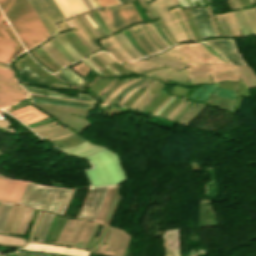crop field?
<instances>
[{
    "label": "crop field",
    "instance_id": "028f5c9d",
    "mask_svg": "<svg viewBox=\"0 0 256 256\" xmlns=\"http://www.w3.org/2000/svg\"><path fill=\"white\" fill-rule=\"evenodd\" d=\"M130 29H131V28H130ZM130 29H129V31L134 35V33L131 31L132 29H131V30H130ZM132 34H131V35H132ZM133 35H132V36H133ZM134 37H135V35H134ZM136 37H137V36H136ZM136 37H135V39L137 40ZM139 41H140V40H139ZM137 42H138V40H137ZM140 43H141V42H140ZM140 43H139V45H140L142 48H144L145 46L141 43V44L144 46V47H143ZM145 48H146V47H145ZM145 48H144V49H145ZM146 49H147V48H146ZM146 49H145V50H146ZM147 50H148V49H147ZM147 50H146V51H147ZM148 51H149V50H148ZM148 51H147V52H148ZM149 52H150V51H149ZM149 52H148V53H149ZM150 53H151V52H150ZM150 53H149V54H150ZM151 54H152V53H151Z\"/></svg>",
    "mask_w": 256,
    "mask_h": 256
},
{
    "label": "crop field",
    "instance_id": "b54c1fbb",
    "mask_svg": "<svg viewBox=\"0 0 256 256\" xmlns=\"http://www.w3.org/2000/svg\"><path fill=\"white\" fill-rule=\"evenodd\" d=\"M2 205H3V203H0V209H1Z\"/></svg>",
    "mask_w": 256,
    "mask_h": 256
},
{
    "label": "crop field",
    "instance_id": "1d83c4d3",
    "mask_svg": "<svg viewBox=\"0 0 256 256\" xmlns=\"http://www.w3.org/2000/svg\"><path fill=\"white\" fill-rule=\"evenodd\" d=\"M24 49H23V47H22V45L18 48V50L10 57V59L7 61V62H11V60L18 54V53H20L21 51H23Z\"/></svg>",
    "mask_w": 256,
    "mask_h": 256
},
{
    "label": "crop field",
    "instance_id": "0bd39190",
    "mask_svg": "<svg viewBox=\"0 0 256 256\" xmlns=\"http://www.w3.org/2000/svg\"><path fill=\"white\" fill-rule=\"evenodd\" d=\"M40 47H41V46H40ZM42 47L48 52V50H47L43 45H42ZM42 47H41V48H42ZM43 48H42V49H43ZM44 49H43V50H44ZM45 50H44V51H45ZM46 51H45V52H46ZM47 52H46V53H47ZM48 53H49V52H48ZM48 53H47V54H48ZM49 54H50V53H49ZM49 54H48V55H49ZM50 55H51V54H50ZM50 55H49V56H50ZM51 56H52V55H51ZM51 56H50V57H51ZM52 57H53V56H52ZM52 57H51V58H52ZM53 58H54V57H53ZM53 58H52V59H53ZM54 59H55V58H54ZM54 59H53V60H54ZM55 60H56V59H55ZM55 60H54V61H55ZM56 61H57V60H56ZM56 61H55V62H56ZM57 62H58V61H57ZM58 63H59V62H58ZM59 64L62 65L61 63H59ZM62 66H63V65H62ZM62 66H61V67H62ZM63 67H64V66H63ZM63 67H62V68H63Z\"/></svg>",
    "mask_w": 256,
    "mask_h": 256
},
{
    "label": "crop field",
    "instance_id": "5866460e",
    "mask_svg": "<svg viewBox=\"0 0 256 256\" xmlns=\"http://www.w3.org/2000/svg\"><path fill=\"white\" fill-rule=\"evenodd\" d=\"M142 27L144 28V30L146 31V33L148 34L149 38L151 39V41L157 46L159 47L161 50H163L159 45H157L154 40L151 38V36L149 35V33L147 32L146 28L144 27V25H142Z\"/></svg>",
    "mask_w": 256,
    "mask_h": 256
},
{
    "label": "crop field",
    "instance_id": "4177f3b9",
    "mask_svg": "<svg viewBox=\"0 0 256 256\" xmlns=\"http://www.w3.org/2000/svg\"><path fill=\"white\" fill-rule=\"evenodd\" d=\"M60 37L64 40V42H65L68 46H70V45L67 43V41L64 39V37H63L62 35H60ZM57 38L59 39V41H60L61 43H63V44L69 49V47H68L59 37H57ZM70 47H71V46H70ZM71 48H72V47H71ZM72 49H73V48H72ZM72 49H71V50H72ZM71 50L69 49V51H70L78 60H80V59L82 58L74 49H73V50L76 52V54L81 57V58H80V57L78 56L80 59L73 53L74 51L72 50V51H73V52H72Z\"/></svg>",
    "mask_w": 256,
    "mask_h": 256
},
{
    "label": "crop field",
    "instance_id": "d23c7cc5",
    "mask_svg": "<svg viewBox=\"0 0 256 256\" xmlns=\"http://www.w3.org/2000/svg\"><path fill=\"white\" fill-rule=\"evenodd\" d=\"M159 43V42H158Z\"/></svg>",
    "mask_w": 256,
    "mask_h": 256
},
{
    "label": "crop field",
    "instance_id": "8a807250",
    "mask_svg": "<svg viewBox=\"0 0 256 256\" xmlns=\"http://www.w3.org/2000/svg\"><path fill=\"white\" fill-rule=\"evenodd\" d=\"M0 8L26 50L50 37L27 0H0Z\"/></svg>",
    "mask_w": 256,
    "mask_h": 256
},
{
    "label": "crop field",
    "instance_id": "92a150f3",
    "mask_svg": "<svg viewBox=\"0 0 256 256\" xmlns=\"http://www.w3.org/2000/svg\"><path fill=\"white\" fill-rule=\"evenodd\" d=\"M26 209H27V207H26ZM26 209H25V211H26ZM25 211H24V213H25ZM33 211H34V210L28 208L27 211H26L25 216H24V214H23L24 218L22 217V218H23V221H22V219H21L22 224H21V222H20V224H21L20 229H19V227H18L19 232H18V230H17V232H18L19 234H24L25 229H26V227H27V224H28V222H29V220H30V218H31V215H32ZM19 226H20V225H19ZM17 232H16V233H17Z\"/></svg>",
    "mask_w": 256,
    "mask_h": 256
},
{
    "label": "crop field",
    "instance_id": "28ad6ade",
    "mask_svg": "<svg viewBox=\"0 0 256 256\" xmlns=\"http://www.w3.org/2000/svg\"><path fill=\"white\" fill-rule=\"evenodd\" d=\"M64 15L65 19L87 11L82 0H54Z\"/></svg>",
    "mask_w": 256,
    "mask_h": 256
},
{
    "label": "crop field",
    "instance_id": "214f88e0",
    "mask_svg": "<svg viewBox=\"0 0 256 256\" xmlns=\"http://www.w3.org/2000/svg\"><path fill=\"white\" fill-rule=\"evenodd\" d=\"M76 137V138H75ZM73 138H75V139H73ZM81 137H78V135H73V136H71V137H68V138H65V139H61V140H57V141H53L52 143L53 144H55V143H59V142H63V141H67V140H71V139H73V140H71V141H68V142H64V143H60V144H57V145H54V146H56V147H59V146H63V145H67V144H71V143H73V142H75V141H77V140H79ZM83 141H85L84 139H82V140H80V141H78V142H76V143H74V144H71V145H68V146H64V147H61L60 149H63V148H67V147H71V146H76V145H78V144H80V143H82Z\"/></svg>",
    "mask_w": 256,
    "mask_h": 256
},
{
    "label": "crop field",
    "instance_id": "4a817a6b",
    "mask_svg": "<svg viewBox=\"0 0 256 256\" xmlns=\"http://www.w3.org/2000/svg\"><path fill=\"white\" fill-rule=\"evenodd\" d=\"M33 98L44 99V100H50V101H56V102H63V103H71V104H79V105H87V106H90V105H88V104H82V103L71 102V101H66V100H60V99H54V98H48V97L30 95L29 99H30L31 101H35V102L49 103V104H54V105H63V106H68V107L85 108V109H89V108H90V107H84V106H74V105H67V104H60V103H53V102L41 101V100H36V99H33Z\"/></svg>",
    "mask_w": 256,
    "mask_h": 256
},
{
    "label": "crop field",
    "instance_id": "34b2d1b8",
    "mask_svg": "<svg viewBox=\"0 0 256 256\" xmlns=\"http://www.w3.org/2000/svg\"><path fill=\"white\" fill-rule=\"evenodd\" d=\"M27 93L16 83L13 71L0 68V108L25 98Z\"/></svg>",
    "mask_w": 256,
    "mask_h": 256
},
{
    "label": "crop field",
    "instance_id": "5d738f31",
    "mask_svg": "<svg viewBox=\"0 0 256 256\" xmlns=\"http://www.w3.org/2000/svg\"><path fill=\"white\" fill-rule=\"evenodd\" d=\"M57 39V38H56ZM69 52V51H68ZM70 53V52H69ZM71 54V53H70ZM72 55V54H71ZM73 56V55H72ZM74 57V56H73Z\"/></svg>",
    "mask_w": 256,
    "mask_h": 256
},
{
    "label": "crop field",
    "instance_id": "dd49c442",
    "mask_svg": "<svg viewBox=\"0 0 256 256\" xmlns=\"http://www.w3.org/2000/svg\"><path fill=\"white\" fill-rule=\"evenodd\" d=\"M0 16H2L1 13ZM2 21L0 17V61L6 62L21 44L10 26L3 27Z\"/></svg>",
    "mask_w": 256,
    "mask_h": 256
},
{
    "label": "crop field",
    "instance_id": "b80d0937",
    "mask_svg": "<svg viewBox=\"0 0 256 256\" xmlns=\"http://www.w3.org/2000/svg\"><path fill=\"white\" fill-rule=\"evenodd\" d=\"M24 208H25V207H23V210H22V213H21L20 219H21V217H22V214H23ZM20 212H21V211H20ZM19 214H20V213H19ZM18 217H19V216H18ZM17 219H18V218H17ZM20 219H19V222H20ZM16 222H17V221H16ZM19 222H18V224H19ZM16 225H17V224H16ZM14 227H15V226H14ZM17 227H18V225H17ZM17 227H16V230H17ZM14 230H15V229H14ZM16 230H15V232H16ZM13 232H14V231H13ZM15 232H14V233H15Z\"/></svg>",
    "mask_w": 256,
    "mask_h": 256
},
{
    "label": "crop field",
    "instance_id": "dafd665d",
    "mask_svg": "<svg viewBox=\"0 0 256 256\" xmlns=\"http://www.w3.org/2000/svg\"><path fill=\"white\" fill-rule=\"evenodd\" d=\"M47 215H48V213L46 214V216H45V218H44V220H43V223H42V226H41V228H40V231H41V229H42V227H43V224H44V222H45V219H46ZM52 217H53V215H51V214L48 215V217H47V219H46V222H45V224H44V227H43V229H42V231H41V234H40V231H39V234H40V238H39V234H38L39 241H42V240H43V238H44V236H45V234H46L47 228H48V226H49V224H50V222H51ZM38 238H37V240H38Z\"/></svg>",
    "mask_w": 256,
    "mask_h": 256
},
{
    "label": "crop field",
    "instance_id": "733c2abd",
    "mask_svg": "<svg viewBox=\"0 0 256 256\" xmlns=\"http://www.w3.org/2000/svg\"><path fill=\"white\" fill-rule=\"evenodd\" d=\"M30 2V4L32 5L33 9L35 10V12L37 13L38 17L40 18V20L42 21L43 25L45 26V28L47 29L48 33L51 35L55 34L56 32H58V30L56 28H54L49 20L47 19V17L45 16L44 12L42 11L41 7L39 6L38 2L36 0H28Z\"/></svg>",
    "mask_w": 256,
    "mask_h": 256
},
{
    "label": "crop field",
    "instance_id": "730fd06b",
    "mask_svg": "<svg viewBox=\"0 0 256 256\" xmlns=\"http://www.w3.org/2000/svg\"><path fill=\"white\" fill-rule=\"evenodd\" d=\"M101 6L118 4L116 0H98Z\"/></svg>",
    "mask_w": 256,
    "mask_h": 256
},
{
    "label": "crop field",
    "instance_id": "d8731c3e",
    "mask_svg": "<svg viewBox=\"0 0 256 256\" xmlns=\"http://www.w3.org/2000/svg\"><path fill=\"white\" fill-rule=\"evenodd\" d=\"M26 183L0 178V200L17 203Z\"/></svg>",
    "mask_w": 256,
    "mask_h": 256
},
{
    "label": "crop field",
    "instance_id": "a9b5d70f",
    "mask_svg": "<svg viewBox=\"0 0 256 256\" xmlns=\"http://www.w3.org/2000/svg\"><path fill=\"white\" fill-rule=\"evenodd\" d=\"M121 33H122V32H121ZM121 33L118 34V35L121 37V39L130 47V49H131L139 58H141L142 55L140 56V54H139L137 51H135L136 49L133 47V48L135 49V50H134V49L128 44V42L125 40L126 37L124 38V37L122 36L123 33H122V34H121ZM119 41H120V40H119ZM119 41H118V42H119ZM120 42H121V41H120ZM120 42H119V43H120ZM121 43H122V42H121ZM121 43H120V44H121ZM121 46L123 47L122 44H121ZM123 48H124V47H123ZM124 49H125V48H124ZM126 49H127V48H126ZM126 49H125V50H126ZM127 50H128V49H127ZM127 50H126V51H127ZM127 52H128V51H127ZM128 53H129V52H128ZM129 54H130V53H129ZM130 55H131V54H130ZM131 56H132V55H131ZM132 57H133V56H132ZM142 57H143V56H142ZM135 58H136V57H135ZM136 59H137V58H136Z\"/></svg>",
    "mask_w": 256,
    "mask_h": 256
},
{
    "label": "crop field",
    "instance_id": "c035e120",
    "mask_svg": "<svg viewBox=\"0 0 256 256\" xmlns=\"http://www.w3.org/2000/svg\"><path fill=\"white\" fill-rule=\"evenodd\" d=\"M45 214H46V213L43 214V216H42V218H41V220H40L39 228H40L41 222H42V220H43ZM39 228H38V231H39ZM38 231H37V234H38ZM37 234H36V236H37ZM36 236H35V237H36Z\"/></svg>",
    "mask_w": 256,
    "mask_h": 256
},
{
    "label": "crop field",
    "instance_id": "bc2a9ffb",
    "mask_svg": "<svg viewBox=\"0 0 256 256\" xmlns=\"http://www.w3.org/2000/svg\"><path fill=\"white\" fill-rule=\"evenodd\" d=\"M21 206L13 205L1 231L10 232Z\"/></svg>",
    "mask_w": 256,
    "mask_h": 256
},
{
    "label": "crop field",
    "instance_id": "e52e79f7",
    "mask_svg": "<svg viewBox=\"0 0 256 256\" xmlns=\"http://www.w3.org/2000/svg\"><path fill=\"white\" fill-rule=\"evenodd\" d=\"M106 188H93L90 190L87 202L79 215L80 218L94 220L103 202Z\"/></svg>",
    "mask_w": 256,
    "mask_h": 256
},
{
    "label": "crop field",
    "instance_id": "ac0d7876",
    "mask_svg": "<svg viewBox=\"0 0 256 256\" xmlns=\"http://www.w3.org/2000/svg\"><path fill=\"white\" fill-rule=\"evenodd\" d=\"M73 191L29 183L19 203L62 215Z\"/></svg>",
    "mask_w": 256,
    "mask_h": 256
},
{
    "label": "crop field",
    "instance_id": "bd1437ed",
    "mask_svg": "<svg viewBox=\"0 0 256 256\" xmlns=\"http://www.w3.org/2000/svg\"><path fill=\"white\" fill-rule=\"evenodd\" d=\"M103 58H105L109 63L115 61L113 58H111L108 54L106 53H99Z\"/></svg>",
    "mask_w": 256,
    "mask_h": 256
},
{
    "label": "crop field",
    "instance_id": "d1516ede",
    "mask_svg": "<svg viewBox=\"0 0 256 256\" xmlns=\"http://www.w3.org/2000/svg\"><path fill=\"white\" fill-rule=\"evenodd\" d=\"M18 81L29 83L32 85L45 86L47 88H68L62 85L47 82L39 78L34 72L30 71L27 67L19 71Z\"/></svg>",
    "mask_w": 256,
    "mask_h": 256
},
{
    "label": "crop field",
    "instance_id": "c21b1889",
    "mask_svg": "<svg viewBox=\"0 0 256 256\" xmlns=\"http://www.w3.org/2000/svg\"><path fill=\"white\" fill-rule=\"evenodd\" d=\"M83 16V15H82ZM83 18H84V16H83ZM85 19V18H84ZM83 20V19H82ZM86 20V19H85ZM87 21V20H86ZM88 22V21H87ZM89 23V22H88ZM86 24V23H85ZM87 25V24H86ZM90 25V24H89ZM88 26V25H87ZM91 26V25H90ZM89 27V26H88ZM92 27V26H91ZM92 29L94 30V28L92 27ZM95 31V30H94ZM96 32V31H95ZM94 32V33H95ZM97 33V32H96ZM97 35L99 36V34L97 33ZM100 37V36H99ZM101 38V37H100Z\"/></svg>",
    "mask_w": 256,
    "mask_h": 256
},
{
    "label": "crop field",
    "instance_id": "00972430",
    "mask_svg": "<svg viewBox=\"0 0 256 256\" xmlns=\"http://www.w3.org/2000/svg\"><path fill=\"white\" fill-rule=\"evenodd\" d=\"M53 39H54V38H53ZM53 39L50 40V41L53 43V45H54L71 63L75 62L76 60L72 57V58L75 60V61H74L71 57H69V56L64 52L65 50L63 51L62 48H61Z\"/></svg>",
    "mask_w": 256,
    "mask_h": 256
},
{
    "label": "crop field",
    "instance_id": "3316defc",
    "mask_svg": "<svg viewBox=\"0 0 256 256\" xmlns=\"http://www.w3.org/2000/svg\"><path fill=\"white\" fill-rule=\"evenodd\" d=\"M9 114L22 121L25 125L49 118L48 116L37 111L31 105L9 112Z\"/></svg>",
    "mask_w": 256,
    "mask_h": 256
},
{
    "label": "crop field",
    "instance_id": "22f410ed",
    "mask_svg": "<svg viewBox=\"0 0 256 256\" xmlns=\"http://www.w3.org/2000/svg\"><path fill=\"white\" fill-rule=\"evenodd\" d=\"M25 249L34 250V251H42V252H56V253H64L76 256H88V252L83 250L76 249H68L63 247L51 246V245H42V244H28Z\"/></svg>",
    "mask_w": 256,
    "mask_h": 256
},
{
    "label": "crop field",
    "instance_id": "cbeb9de0",
    "mask_svg": "<svg viewBox=\"0 0 256 256\" xmlns=\"http://www.w3.org/2000/svg\"><path fill=\"white\" fill-rule=\"evenodd\" d=\"M51 24L64 20L63 15L53 0H37Z\"/></svg>",
    "mask_w": 256,
    "mask_h": 256
},
{
    "label": "crop field",
    "instance_id": "d9b57169",
    "mask_svg": "<svg viewBox=\"0 0 256 256\" xmlns=\"http://www.w3.org/2000/svg\"><path fill=\"white\" fill-rule=\"evenodd\" d=\"M55 76L76 88H79L84 83V81H82L83 79L81 80L68 68L62 70Z\"/></svg>",
    "mask_w": 256,
    "mask_h": 256
},
{
    "label": "crop field",
    "instance_id": "d32e631a",
    "mask_svg": "<svg viewBox=\"0 0 256 256\" xmlns=\"http://www.w3.org/2000/svg\"><path fill=\"white\" fill-rule=\"evenodd\" d=\"M95 12L97 13V11H95ZM96 13H95V14H96ZM92 14L94 15V17H95V18L98 20V22L100 23L99 19H100L101 17L99 16V14L97 13V14H98V16L100 17L99 19H98V18H97V16H96L97 14L95 15L93 12H92ZM101 20H102V19H101ZM102 22H103V21H102ZM102 24H103V23H102ZM102 24L100 23V25H101V26H102ZM103 26H104V25H103ZM103 26H102V28H103ZM104 28L106 29V27H105V26H104ZM104 28H103V29H104ZM105 29H104V31H105ZM106 30H107V29H106ZM105 32H106V31H105ZM107 32L109 33V31H108V30H107ZM107 32H106V33H107ZM108 33H107V35H109V34H110V33H109V34H108Z\"/></svg>",
    "mask_w": 256,
    "mask_h": 256
},
{
    "label": "crop field",
    "instance_id": "ae1a2a85",
    "mask_svg": "<svg viewBox=\"0 0 256 256\" xmlns=\"http://www.w3.org/2000/svg\"><path fill=\"white\" fill-rule=\"evenodd\" d=\"M126 30H127V29H126ZM126 30H124V31L126 32ZM124 31H123V32H124ZM125 32H124V34H125ZM127 32H128V31H127ZM127 32H126V34L129 36L130 33L128 32V33H129V34H128ZM126 34H125V35H126ZM127 35H126V37H127L128 40L130 41V43H131L133 46H134V44H135V46H136L144 55H147L146 53L143 52L144 50H143L142 48H141V49H142L143 51L136 45V43L133 41L134 39L132 40V38H131L132 36L130 35L131 37H130V36H129V37H130L131 40L134 42V44L132 43V41L129 39V37H128ZM135 46H134V47H135ZM136 47H135V48H136ZM137 48H136V49H137ZM138 49H137V50H138ZM139 50H138V51H139ZM140 51H139V52H140ZM141 52H140V53H141Z\"/></svg>",
    "mask_w": 256,
    "mask_h": 256
},
{
    "label": "crop field",
    "instance_id": "eef30255",
    "mask_svg": "<svg viewBox=\"0 0 256 256\" xmlns=\"http://www.w3.org/2000/svg\"><path fill=\"white\" fill-rule=\"evenodd\" d=\"M4 205H5V204H4ZM3 207H4V206H3ZM10 208H11V205L9 204L8 207H7V210L5 209L6 212L4 211V212H5V215L3 214L4 217L2 216L3 219L1 218V219H2V222H1V220H0V222H1V224H0V230H1L2 226H3V224H4L5 218H6L7 214H8V212H9ZM2 210H3V208H2ZM2 210H1V212H2ZM1 212H0V215H1Z\"/></svg>",
    "mask_w": 256,
    "mask_h": 256
},
{
    "label": "crop field",
    "instance_id": "5a996713",
    "mask_svg": "<svg viewBox=\"0 0 256 256\" xmlns=\"http://www.w3.org/2000/svg\"><path fill=\"white\" fill-rule=\"evenodd\" d=\"M202 38L216 36L210 24L206 7L190 9Z\"/></svg>",
    "mask_w": 256,
    "mask_h": 256
},
{
    "label": "crop field",
    "instance_id": "5142ce71",
    "mask_svg": "<svg viewBox=\"0 0 256 256\" xmlns=\"http://www.w3.org/2000/svg\"><path fill=\"white\" fill-rule=\"evenodd\" d=\"M21 86L24 87L28 92H34V93L56 96V97H61V98L82 100V101H87V102H92V103L96 102L93 98H91L87 95H84V94H80V93H78L79 98H72V97H66L62 94H59V93H56V92H53L50 90H46V89L28 87V86H24V85H21Z\"/></svg>",
    "mask_w": 256,
    "mask_h": 256
},
{
    "label": "crop field",
    "instance_id": "03da06ac",
    "mask_svg": "<svg viewBox=\"0 0 256 256\" xmlns=\"http://www.w3.org/2000/svg\"><path fill=\"white\" fill-rule=\"evenodd\" d=\"M107 67V66H106ZM108 68V67H107ZM114 76H119L118 73H114L110 68H108Z\"/></svg>",
    "mask_w": 256,
    "mask_h": 256
},
{
    "label": "crop field",
    "instance_id": "750c4746",
    "mask_svg": "<svg viewBox=\"0 0 256 256\" xmlns=\"http://www.w3.org/2000/svg\"><path fill=\"white\" fill-rule=\"evenodd\" d=\"M104 66H109L114 72H117L113 67H111L105 60H103L98 54L94 55Z\"/></svg>",
    "mask_w": 256,
    "mask_h": 256
},
{
    "label": "crop field",
    "instance_id": "d3111659",
    "mask_svg": "<svg viewBox=\"0 0 256 256\" xmlns=\"http://www.w3.org/2000/svg\"><path fill=\"white\" fill-rule=\"evenodd\" d=\"M152 24H153V26L156 28L157 31L160 30V28L157 26L156 23H152ZM158 33L165 39L166 42H168V43L171 44V45H174L173 43H171V42L165 37V35L163 34L162 31H160V32H158Z\"/></svg>",
    "mask_w": 256,
    "mask_h": 256
},
{
    "label": "crop field",
    "instance_id": "f4fd0767",
    "mask_svg": "<svg viewBox=\"0 0 256 256\" xmlns=\"http://www.w3.org/2000/svg\"><path fill=\"white\" fill-rule=\"evenodd\" d=\"M205 42L213 46L233 65L248 66L234 40H208Z\"/></svg>",
    "mask_w": 256,
    "mask_h": 256
},
{
    "label": "crop field",
    "instance_id": "412701ff",
    "mask_svg": "<svg viewBox=\"0 0 256 256\" xmlns=\"http://www.w3.org/2000/svg\"><path fill=\"white\" fill-rule=\"evenodd\" d=\"M104 10L106 11L116 31L137 21H140V18L132 3L116 8H105Z\"/></svg>",
    "mask_w": 256,
    "mask_h": 256
},
{
    "label": "crop field",
    "instance_id": "120bbe31",
    "mask_svg": "<svg viewBox=\"0 0 256 256\" xmlns=\"http://www.w3.org/2000/svg\"><path fill=\"white\" fill-rule=\"evenodd\" d=\"M153 57H155V56H153ZM153 57H151L152 59H154V60H158V59H160V60H164V59H161V58H158V57H156V58H158V59H156V58H153ZM148 60H150V59H148ZM160 60H158V61H160ZM151 61H153V60H151ZM164 61H167V60H164ZM154 62H156V61H154ZM163 62V61H162ZM168 62H171V61H168ZM157 63H159V62H157ZM167 63V62H166ZM171 63H175V62H171ZM170 63V64H171ZM161 64H163V63H161ZM175 64H177V63H175ZM175 64H173V65H175ZM164 65H166V64H164ZM178 65H180V64H178ZM177 65V66H178ZM170 66V65H169ZM180 66H182V65H180ZM173 67V66H172ZM184 67V66H183ZM182 67V68H183ZM174 68H176V67H174ZM176 69H178V68H176ZM178 70H180V69H178Z\"/></svg>",
    "mask_w": 256,
    "mask_h": 256
},
{
    "label": "crop field",
    "instance_id": "e1f06a70",
    "mask_svg": "<svg viewBox=\"0 0 256 256\" xmlns=\"http://www.w3.org/2000/svg\"><path fill=\"white\" fill-rule=\"evenodd\" d=\"M150 26L152 27L153 31L155 32V34L158 36L159 39H161L164 43H166L161 37L160 35L156 32V30L154 29V27L152 26V24H150ZM167 44V43H166ZM168 46H170L169 44H167Z\"/></svg>",
    "mask_w": 256,
    "mask_h": 256
}]
</instances>
